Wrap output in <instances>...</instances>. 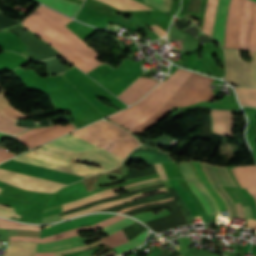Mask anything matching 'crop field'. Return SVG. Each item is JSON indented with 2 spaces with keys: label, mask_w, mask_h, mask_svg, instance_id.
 Instances as JSON below:
<instances>
[{
  "label": "crop field",
  "mask_w": 256,
  "mask_h": 256,
  "mask_svg": "<svg viewBox=\"0 0 256 256\" xmlns=\"http://www.w3.org/2000/svg\"><path fill=\"white\" fill-rule=\"evenodd\" d=\"M72 157L82 162L101 165L107 170L119 166L123 161V158L70 134L39 149L18 156L13 160L83 177L107 171L88 165L69 162Z\"/></svg>",
  "instance_id": "8a807250"
},
{
  "label": "crop field",
  "mask_w": 256,
  "mask_h": 256,
  "mask_svg": "<svg viewBox=\"0 0 256 256\" xmlns=\"http://www.w3.org/2000/svg\"><path fill=\"white\" fill-rule=\"evenodd\" d=\"M72 20L40 6L22 25L29 28L85 73L102 64L97 53L64 25Z\"/></svg>",
  "instance_id": "ac0d7876"
},
{
  "label": "crop field",
  "mask_w": 256,
  "mask_h": 256,
  "mask_svg": "<svg viewBox=\"0 0 256 256\" xmlns=\"http://www.w3.org/2000/svg\"><path fill=\"white\" fill-rule=\"evenodd\" d=\"M191 74L192 72L178 69L136 105L109 118L130 130L134 129L160 111Z\"/></svg>",
  "instance_id": "34b2d1b8"
},
{
  "label": "crop field",
  "mask_w": 256,
  "mask_h": 256,
  "mask_svg": "<svg viewBox=\"0 0 256 256\" xmlns=\"http://www.w3.org/2000/svg\"><path fill=\"white\" fill-rule=\"evenodd\" d=\"M120 128L101 120L81 129L90 135L80 130L73 132V135L125 158L140 143Z\"/></svg>",
  "instance_id": "412701ff"
},
{
  "label": "crop field",
  "mask_w": 256,
  "mask_h": 256,
  "mask_svg": "<svg viewBox=\"0 0 256 256\" xmlns=\"http://www.w3.org/2000/svg\"><path fill=\"white\" fill-rule=\"evenodd\" d=\"M213 80V78L193 73L160 112L132 131L138 134L141 133L147 127L167 114L174 105L184 107L193 103L214 99L215 96L209 86Z\"/></svg>",
  "instance_id": "f4fd0767"
},
{
  "label": "crop field",
  "mask_w": 256,
  "mask_h": 256,
  "mask_svg": "<svg viewBox=\"0 0 256 256\" xmlns=\"http://www.w3.org/2000/svg\"><path fill=\"white\" fill-rule=\"evenodd\" d=\"M254 5L250 0H232L225 47L251 49V52H256V47H249Z\"/></svg>",
  "instance_id": "dd49c442"
},
{
  "label": "crop field",
  "mask_w": 256,
  "mask_h": 256,
  "mask_svg": "<svg viewBox=\"0 0 256 256\" xmlns=\"http://www.w3.org/2000/svg\"><path fill=\"white\" fill-rule=\"evenodd\" d=\"M0 180L18 188L53 193L65 184L0 169Z\"/></svg>",
  "instance_id": "e52e79f7"
},
{
  "label": "crop field",
  "mask_w": 256,
  "mask_h": 256,
  "mask_svg": "<svg viewBox=\"0 0 256 256\" xmlns=\"http://www.w3.org/2000/svg\"><path fill=\"white\" fill-rule=\"evenodd\" d=\"M202 164L213 186L215 187L217 192L220 194V196L225 200L229 209L230 216L238 217L239 215V217L244 218L241 204H236L237 210H238V215H237L235 204H233L232 200L229 198V196L225 193V191L220 186V185H224V186L236 187L226 166L218 167V166H211L206 163H202Z\"/></svg>",
  "instance_id": "d8731c3e"
},
{
  "label": "crop field",
  "mask_w": 256,
  "mask_h": 256,
  "mask_svg": "<svg viewBox=\"0 0 256 256\" xmlns=\"http://www.w3.org/2000/svg\"><path fill=\"white\" fill-rule=\"evenodd\" d=\"M226 81L232 85H252L251 63L242 61L240 53L236 51L225 50Z\"/></svg>",
  "instance_id": "5a996713"
},
{
  "label": "crop field",
  "mask_w": 256,
  "mask_h": 256,
  "mask_svg": "<svg viewBox=\"0 0 256 256\" xmlns=\"http://www.w3.org/2000/svg\"><path fill=\"white\" fill-rule=\"evenodd\" d=\"M123 218H125V217L116 215L110 219H107V220L100 222L98 224H95L93 226H87V227H83V228L73 229L68 232L57 234V235H54V236L48 237V238L39 239V238H32V237H10L9 241H31V242H41V243L57 241V240H61V239H65V238H69V237H73V236H78V234L76 232H79V231L92 230V229H97V228H100V227H103L106 225H110L112 223H115V222L123 219Z\"/></svg>",
  "instance_id": "3316defc"
},
{
  "label": "crop field",
  "mask_w": 256,
  "mask_h": 256,
  "mask_svg": "<svg viewBox=\"0 0 256 256\" xmlns=\"http://www.w3.org/2000/svg\"><path fill=\"white\" fill-rule=\"evenodd\" d=\"M157 82L149 78L140 77L118 97L128 105H131L145 95Z\"/></svg>",
  "instance_id": "28ad6ade"
},
{
  "label": "crop field",
  "mask_w": 256,
  "mask_h": 256,
  "mask_svg": "<svg viewBox=\"0 0 256 256\" xmlns=\"http://www.w3.org/2000/svg\"><path fill=\"white\" fill-rule=\"evenodd\" d=\"M230 0H218L212 37L218 39L223 46L227 10Z\"/></svg>",
  "instance_id": "d1516ede"
},
{
  "label": "crop field",
  "mask_w": 256,
  "mask_h": 256,
  "mask_svg": "<svg viewBox=\"0 0 256 256\" xmlns=\"http://www.w3.org/2000/svg\"><path fill=\"white\" fill-rule=\"evenodd\" d=\"M87 241H89V239H82L80 236H78L75 238H69L57 242L39 244L36 247V252H53L67 248L83 246L86 245L85 242Z\"/></svg>",
  "instance_id": "22f410ed"
},
{
  "label": "crop field",
  "mask_w": 256,
  "mask_h": 256,
  "mask_svg": "<svg viewBox=\"0 0 256 256\" xmlns=\"http://www.w3.org/2000/svg\"><path fill=\"white\" fill-rule=\"evenodd\" d=\"M189 162H190L191 166L193 167L194 171L196 172L200 181L204 184L208 193L214 199L219 210L228 211L225 202L222 200V198L219 196V194L216 192V190L212 187V184L210 183L207 175L205 174L201 163L192 162V161H189Z\"/></svg>",
  "instance_id": "cbeb9de0"
},
{
  "label": "crop field",
  "mask_w": 256,
  "mask_h": 256,
  "mask_svg": "<svg viewBox=\"0 0 256 256\" xmlns=\"http://www.w3.org/2000/svg\"><path fill=\"white\" fill-rule=\"evenodd\" d=\"M245 185V189L256 200V166L234 167Z\"/></svg>",
  "instance_id": "5142ce71"
},
{
  "label": "crop field",
  "mask_w": 256,
  "mask_h": 256,
  "mask_svg": "<svg viewBox=\"0 0 256 256\" xmlns=\"http://www.w3.org/2000/svg\"><path fill=\"white\" fill-rule=\"evenodd\" d=\"M188 185L191 187V189L194 191V193L197 195V197L202 202L205 211L207 214H219L216 208V205L212 201L209 194L205 191L203 185L200 182L197 181H188L186 180Z\"/></svg>",
  "instance_id": "d9b57169"
},
{
  "label": "crop field",
  "mask_w": 256,
  "mask_h": 256,
  "mask_svg": "<svg viewBox=\"0 0 256 256\" xmlns=\"http://www.w3.org/2000/svg\"><path fill=\"white\" fill-rule=\"evenodd\" d=\"M157 190H161V191L155 192V193H150V194H145V193H149V192H153V191H157ZM164 192H167L165 188L144 192V193H141L139 195L127 197V198L122 199V200L100 204V205L94 206V207H92L88 210H84V211L77 212V213H74V214H71V215L63 216L62 218L66 219V218H70V217H74V216H78V215H82V214H86V213H90V212H94V211L107 209V208H110V207L115 206V205H119V204L134 201L136 199L142 198V197L147 196V195L156 194V193H164ZM142 194H145V195H142Z\"/></svg>",
  "instance_id": "733c2abd"
},
{
  "label": "crop field",
  "mask_w": 256,
  "mask_h": 256,
  "mask_svg": "<svg viewBox=\"0 0 256 256\" xmlns=\"http://www.w3.org/2000/svg\"><path fill=\"white\" fill-rule=\"evenodd\" d=\"M45 5H48L56 10H59L69 16L74 17L80 4L68 0H37Z\"/></svg>",
  "instance_id": "4a817a6b"
},
{
  "label": "crop field",
  "mask_w": 256,
  "mask_h": 256,
  "mask_svg": "<svg viewBox=\"0 0 256 256\" xmlns=\"http://www.w3.org/2000/svg\"><path fill=\"white\" fill-rule=\"evenodd\" d=\"M36 243L10 242L6 256H35Z\"/></svg>",
  "instance_id": "bc2a9ffb"
},
{
  "label": "crop field",
  "mask_w": 256,
  "mask_h": 256,
  "mask_svg": "<svg viewBox=\"0 0 256 256\" xmlns=\"http://www.w3.org/2000/svg\"><path fill=\"white\" fill-rule=\"evenodd\" d=\"M216 6H217V0H208L207 1V7H206L202 31L209 35L212 34Z\"/></svg>",
  "instance_id": "214f88e0"
},
{
  "label": "crop field",
  "mask_w": 256,
  "mask_h": 256,
  "mask_svg": "<svg viewBox=\"0 0 256 256\" xmlns=\"http://www.w3.org/2000/svg\"><path fill=\"white\" fill-rule=\"evenodd\" d=\"M106 2L120 10H148L150 8L134 0H100Z\"/></svg>",
  "instance_id": "92a150f3"
},
{
  "label": "crop field",
  "mask_w": 256,
  "mask_h": 256,
  "mask_svg": "<svg viewBox=\"0 0 256 256\" xmlns=\"http://www.w3.org/2000/svg\"><path fill=\"white\" fill-rule=\"evenodd\" d=\"M242 105L256 106V88L243 87L235 88Z\"/></svg>",
  "instance_id": "dafd665d"
},
{
  "label": "crop field",
  "mask_w": 256,
  "mask_h": 256,
  "mask_svg": "<svg viewBox=\"0 0 256 256\" xmlns=\"http://www.w3.org/2000/svg\"><path fill=\"white\" fill-rule=\"evenodd\" d=\"M101 241H103L105 244L111 247V249L115 246L121 245L125 242H127V238L123 232V230L107 237V238H102Z\"/></svg>",
  "instance_id": "00972430"
},
{
  "label": "crop field",
  "mask_w": 256,
  "mask_h": 256,
  "mask_svg": "<svg viewBox=\"0 0 256 256\" xmlns=\"http://www.w3.org/2000/svg\"><path fill=\"white\" fill-rule=\"evenodd\" d=\"M150 168L143 169V170H136L134 168H129V175L122 177L123 180H129L133 178H138L146 175H151L157 173L153 164H148Z\"/></svg>",
  "instance_id": "a9b5d70f"
},
{
  "label": "crop field",
  "mask_w": 256,
  "mask_h": 256,
  "mask_svg": "<svg viewBox=\"0 0 256 256\" xmlns=\"http://www.w3.org/2000/svg\"><path fill=\"white\" fill-rule=\"evenodd\" d=\"M135 222L136 221H134V220L126 218V219H124L122 221H119V222H117L115 224H112L110 226L103 227L104 231H102V232L106 233L109 236V235H111V234H113V233H115V232H117V231H119V230H121V229H123V228H125V227H127V226H129V225H131L133 223H135Z\"/></svg>",
  "instance_id": "4177f3b9"
},
{
  "label": "crop field",
  "mask_w": 256,
  "mask_h": 256,
  "mask_svg": "<svg viewBox=\"0 0 256 256\" xmlns=\"http://www.w3.org/2000/svg\"><path fill=\"white\" fill-rule=\"evenodd\" d=\"M148 231V230H147ZM147 231H145L144 233H142L140 236H138L137 238L129 241L128 243L121 245L119 247L114 248L113 250L115 251V253L119 254L121 252H124L128 249H131L133 247L138 246L139 244L143 243L145 235L147 233Z\"/></svg>",
  "instance_id": "730fd06b"
},
{
  "label": "crop field",
  "mask_w": 256,
  "mask_h": 256,
  "mask_svg": "<svg viewBox=\"0 0 256 256\" xmlns=\"http://www.w3.org/2000/svg\"><path fill=\"white\" fill-rule=\"evenodd\" d=\"M155 180H159V178L148 179V180H144V181H140V182H136V183H132V184L120 186V187L111 188V189H108V190H105V191L96 193V194H94V195L88 196V197H86V198H83V199H80V200H77V201H74V202H71V203H68V204H64L63 206L70 205V204H73V203H77V202H80V201H82V200L91 198V197H93V196H96V195H99V194H102V193L110 192V191H113V190L124 189V188H127V187H131V186H135V185H139V184H143V183H147V182H151V181H155Z\"/></svg>",
  "instance_id": "eef30255"
},
{
  "label": "crop field",
  "mask_w": 256,
  "mask_h": 256,
  "mask_svg": "<svg viewBox=\"0 0 256 256\" xmlns=\"http://www.w3.org/2000/svg\"><path fill=\"white\" fill-rule=\"evenodd\" d=\"M114 195H118V194H116V193H114V192H111V193L99 195V196H96V197H94V198H91V199L85 200V201H83V202L77 203V204H75V205H71V206L64 207V208H62V212H63V211L70 210V209H73V208L80 207V206L85 205V204H87V203H90V202H92V201L104 199V198H107V197H110V196H114Z\"/></svg>",
  "instance_id": "ae1a2a85"
},
{
  "label": "crop field",
  "mask_w": 256,
  "mask_h": 256,
  "mask_svg": "<svg viewBox=\"0 0 256 256\" xmlns=\"http://www.w3.org/2000/svg\"><path fill=\"white\" fill-rule=\"evenodd\" d=\"M178 163H179V166H180L185 178H187L189 180H198L188 161L178 162Z\"/></svg>",
  "instance_id": "d3111659"
},
{
  "label": "crop field",
  "mask_w": 256,
  "mask_h": 256,
  "mask_svg": "<svg viewBox=\"0 0 256 256\" xmlns=\"http://www.w3.org/2000/svg\"><path fill=\"white\" fill-rule=\"evenodd\" d=\"M100 244H103L102 242L98 241L92 245H88V246H83V247H78V248H75V249H71V250H66V251H59V252H56L55 256H62L63 254H66V253H70V252H76V251H83V250H88V249H91L93 247H96ZM105 247H108L106 246L105 244H103Z\"/></svg>",
  "instance_id": "750c4746"
},
{
  "label": "crop field",
  "mask_w": 256,
  "mask_h": 256,
  "mask_svg": "<svg viewBox=\"0 0 256 256\" xmlns=\"http://www.w3.org/2000/svg\"><path fill=\"white\" fill-rule=\"evenodd\" d=\"M181 256H215V254L206 252L202 249L201 251H198V250L187 248Z\"/></svg>",
  "instance_id": "bd1437ed"
},
{
  "label": "crop field",
  "mask_w": 256,
  "mask_h": 256,
  "mask_svg": "<svg viewBox=\"0 0 256 256\" xmlns=\"http://www.w3.org/2000/svg\"><path fill=\"white\" fill-rule=\"evenodd\" d=\"M250 46H256V12H254L253 27Z\"/></svg>",
  "instance_id": "1d83c4d3"
},
{
  "label": "crop field",
  "mask_w": 256,
  "mask_h": 256,
  "mask_svg": "<svg viewBox=\"0 0 256 256\" xmlns=\"http://www.w3.org/2000/svg\"><path fill=\"white\" fill-rule=\"evenodd\" d=\"M252 58V79L253 85H256V53H251Z\"/></svg>",
  "instance_id": "120bbe31"
},
{
  "label": "crop field",
  "mask_w": 256,
  "mask_h": 256,
  "mask_svg": "<svg viewBox=\"0 0 256 256\" xmlns=\"http://www.w3.org/2000/svg\"><path fill=\"white\" fill-rule=\"evenodd\" d=\"M0 216H4V217H8V218H11V217L21 218V216L17 215L15 212L3 210V209H0Z\"/></svg>",
  "instance_id": "d32e631a"
},
{
  "label": "crop field",
  "mask_w": 256,
  "mask_h": 256,
  "mask_svg": "<svg viewBox=\"0 0 256 256\" xmlns=\"http://www.w3.org/2000/svg\"><path fill=\"white\" fill-rule=\"evenodd\" d=\"M161 183H162V181L159 180V181H155V182H152V183H148V184H144V185H140V186H136V187L127 188L126 190L128 192H130V191L137 190V189H140V188H143V187L152 186V185L161 184Z\"/></svg>",
  "instance_id": "5866460e"
},
{
  "label": "crop field",
  "mask_w": 256,
  "mask_h": 256,
  "mask_svg": "<svg viewBox=\"0 0 256 256\" xmlns=\"http://www.w3.org/2000/svg\"><path fill=\"white\" fill-rule=\"evenodd\" d=\"M146 2L166 11L161 0H145Z\"/></svg>",
  "instance_id": "028f5c9d"
},
{
  "label": "crop field",
  "mask_w": 256,
  "mask_h": 256,
  "mask_svg": "<svg viewBox=\"0 0 256 256\" xmlns=\"http://www.w3.org/2000/svg\"><path fill=\"white\" fill-rule=\"evenodd\" d=\"M158 173H159V176L161 177V179H166L167 178V175L162 167L161 164H154Z\"/></svg>",
  "instance_id": "e1f06a70"
},
{
  "label": "crop field",
  "mask_w": 256,
  "mask_h": 256,
  "mask_svg": "<svg viewBox=\"0 0 256 256\" xmlns=\"http://www.w3.org/2000/svg\"><path fill=\"white\" fill-rule=\"evenodd\" d=\"M170 200H173V198L171 199H167V200H163V201H159V202H154V203H148V204H144V205H139V206H135V207H130V208H126V209H122L120 211H118L119 213H123L127 210H130V209H134V208H138V207H142V206H146V205H149V204H158V203H163V202H166V201H170Z\"/></svg>",
  "instance_id": "0bd39190"
},
{
  "label": "crop field",
  "mask_w": 256,
  "mask_h": 256,
  "mask_svg": "<svg viewBox=\"0 0 256 256\" xmlns=\"http://www.w3.org/2000/svg\"><path fill=\"white\" fill-rule=\"evenodd\" d=\"M9 105L6 100L0 95V110Z\"/></svg>",
  "instance_id": "b80d0937"
},
{
  "label": "crop field",
  "mask_w": 256,
  "mask_h": 256,
  "mask_svg": "<svg viewBox=\"0 0 256 256\" xmlns=\"http://www.w3.org/2000/svg\"><path fill=\"white\" fill-rule=\"evenodd\" d=\"M246 227L255 229L256 228V221L248 219Z\"/></svg>",
  "instance_id": "c035e120"
},
{
  "label": "crop field",
  "mask_w": 256,
  "mask_h": 256,
  "mask_svg": "<svg viewBox=\"0 0 256 256\" xmlns=\"http://www.w3.org/2000/svg\"><path fill=\"white\" fill-rule=\"evenodd\" d=\"M99 249H94V250H92L91 252H89V251H87L86 253H82L83 255H81V256H91V255H93L95 252H97ZM79 255V256H80Z\"/></svg>",
  "instance_id": "c21b1889"
},
{
  "label": "crop field",
  "mask_w": 256,
  "mask_h": 256,
  "mask_svg": "<svg viewBox=\"0 0 256 256\" xmlns=\"http://www.w3.org/2000/svg\"><path fill=\"white\" fill-rule=\"evenodd\" d=\"M245 210V217L251 218L249 206L243 207Z\"/></svg>",
  "instance_id": "03da06ac"
},
{
  "label": "crop field",
  "mask_w": 256,
  "mask_h": 256,
  "mask_svg": "<svg viewBox=\"0 0 256 256\" xmlns=\"http://www.w3.org/2000/svg\"><path fill=\"white\" fill-rule=\"evenodd\" d=\"M54 253H36V256H54Z\"/></svg>",
  "instance_id": "b54c1fbb"
},
{
  "label": "crop field",
  "mask_w": 256,
  "mask_h": 256,
  "mask_svg": "<svg viewBox=\"0 0 256 256\" xmlns=\"http://www.w3.org/2000/svg\"><path fill=\"white\" fill-rule=\"evenodd\" d=\"M167 10H169L172 0H163Z\"/></svg>",
  "instance_id": "5d738f31"
},
{
  "label": "crop field",
  "mask_w": 256,
  "mask_h": 256,
  "mask_svg": "<svg viewBox=\"0 0 256 256\" xmlns=\"http://www.w3.org/2000/svg\"><path fill=\"white\" fill-rule=\"evenodd\" d=\"M1 138H3V139H10V138H14V137L0 133V141H1Z\"/></svg>",
  "instance_id": "d23c7cc5"
},
{
  "label": "crop field",
  "mask_w": 256,
  "mask_h": 256,
  "mask_svg": "<svg viewBox=\"0 0 256 256\" xmlns=\"http://www.w3.org/2000/svg\"><path fill=\"white\" fill-rule=\"evenodd\" d=\"M160 37L164 36L155 26L151 27Z\"/></svg>",
  "instance_id": "425ffa30"
},
{
  "label": "crop field",
  "mask_w": 256,
  "mask_h": 256,
  "mask_svg": "<svg viewBox=\"0 0 256 256\" xmlns=\"http://www.w3.org/2000/svg\"><path fill=\"white\" fill-rule=\"evenodd\" d=\"M232 170H233V172H234V174H235V176H236V178H237V180H238L239 185H240L241 187H243V185H242V183H241V181H240V179H239V177H238V175H237L235 169H232Z\"/></svg>",
  "instance_id": "25e5ab78"
},
{
  "label": "crop field",
  "mask_w": 256,
  "mask_h": 256,
  "mask_svg": "<svg viewBox=\"0 0 256 256\" xmlns=\"http://www.w3.org/2000/svg\"><path fill=\"white\" fill-rule=\"evenodd\" d=\"M0 207H1V208H5V209H9V210H13L12 208L4 207V206H1V205H0ZM13 211H14V210H13Z\"/></svg>",
  "instance_id": "73cf0c24"
},
{
  "label": "crop field",
  "mask_w": 256,
  "mask_h": 256,
  "mask_svg": "<svg viewBox=\"0 0 256 256\" xmlns=\"http://www.w3.org/2000/svg\"><path fill=\"white\" fill-rule=\"evenodd\" d=\"M105 249H107V248H105ZM105 249H103L102 251L98 252L97 254H95V255H93V256L99 255V254H100L101 252H103Z\"/></svg>",
  "instance_id": "89e229c0"
},
{
  "label": "crop field",
  "mask_w": 256,
  "mask_h": 256,
  "mask_svg": "<svg viewBox=\"0 0 256 256\" xmlns=\"http://www.w3.org/2000/svg\"><path fill=\"white\" fill-rule=\"evenodd\" d=\"M0 191H1V188H0Z\"/></svg>",
  "instance_id": "1f2cbd36"
},
{
  "label": "crop field",
  "mask_w": 256,
  "mask_h": 256,
  "mask_svg": "<svg viewBox=\"0 0 256 256\" xmlns=\"http://www.w3.org/2000/svg\"><path fill=\"white\" fill-rule=\"evenodd\" d=\"M254 11H256V9Z\"/></svg>",
  "instance_id": "dbb93151"
},
{
  "label": "crop field",
  "mask_w": 256,
  "mask_h": 256,
  "mask_svg": "<svg viewBox=\"0 0 256 256\" xmlns=\"http://www.w3.org/2000/svg\"><path fill=\"white\" fill-rule=\"evenodd\" d=\"M254 1H256V0H254Z\"/></svg>",
  "instance_id": "0fb4a251"
},
{
  "label": "crop field",
  "mask_w": 256,
  "mask_h": 256,
  "mask_svg": "<svg viewBox=\"0 0 256 256\" xmlns=\"http://www.w3.org/2000/svg\"><path fill=\"white\" fill-rule=\"evenodd\" d=\"M255 8H256V6H255Z\"/></svg>",
  "instance_id": "1d79db26"
}]
</instances>
